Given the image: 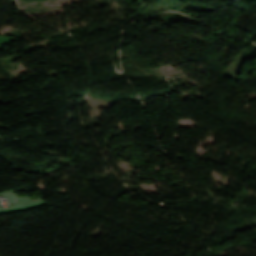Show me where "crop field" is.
Wrapping results in <instances>:
<instances>
[{
	"instance_id": "obj_1",
	"label": "crop field",
	"mask_w": 256,
	"mask_h": 256,
	"mask_svg": "<svg viewBox=\"0 0 256 256\" xmlns=\"http://www.w3.org/2000/svg\"><path fill=\"white\" fill-rule=\"evenodd\" d=\"M13 201H14V199H13ZM15 203V202H14Z\"/></svg>"
}]
</instances>
